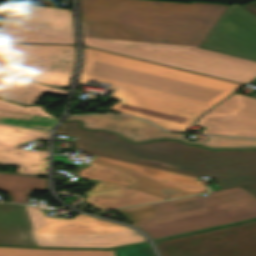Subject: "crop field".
<instances>
[{
  "mask_svg": "<svg viewBox=\"0 0 256 256\" xmlns=\"http://www.w3.org/2000/svg\"><path fill=\"white\" fill-rule=\"evenodd\" d=\"M228 6L80 0L84 45L246 84L256 61L199 46Z\"/></svg>",
  "mask_w": 256,
  "mask_h": 256,
  "instance_id": "crop-field-1",
  "label": "crop field"
},
{
  "mask_svg": "<svg viewBox=\"0 0 256 256\" xmlns=\"http://www.w3.org/2000/svg\"><path fill=\"white\" fill-rule=\"evenodd\" d=\"M113 84L120 101L109 109L186 131L207 109L244 85L84 47L78 84Z\"/></svg>",
  "mask_w": 256,
  "mask_h": 256,
  "instance_id": "crop-field-2",
  "label": "crop field"
},
{
  "mask_svg": "<svg viewBox=\"0 0 256 256\" xmlns=\"http://www.w3.org/2000/svg\"><path fill=\"white\" fill-rule=\"evenodd\" d=\"M79 125L64 122L56 132L75 137V150L196 177L211 174L222 189L256 183V151H211L168 140L132 144Z\"/></svg>",
  "mask_w": 256,
  "mask_h": 256,
  "instance_id": "crop-field-3",
  "label": "crop field"
},
{
  "mask_svg": "<svg viewBox=\"0 0 256 256\" xmlns=\"http://www.w3.org/2000/svg\"><path fill=\"white\" fill-rule=\"evenodd\" d=\"M46 215L38 207L0 203V244L111 248L146 241L132 229L81 213L73 219Z\"/></svg>",
  "mask_w": 256,
  "mask_h": 256,
  "instance_id": "crop-field-4",
  "label": "crop field"
},
{
  "mask_svg": "<svg viewBox=\"0 0 256 256\" xmlns=\"http://www.w3.org/2000/svg\"><path fill=\"white\" fill-rule=\"evenodd\" d=\"M153 240L256 218V197L241 187L116 210Z\"/></svg>",
  "mask_w": 256,
  "mask_h": 256,
  "instance_id": "crop-field-5",
  "label": "crop field"
},
{
  "mask_svg": "<svg viewBox=\"0 0 256 256\" xmlns=\"http://www.w3.org/2000/svg\"><path fill=\"white\" fill-rule=\"evenodd\" d=\"M66 156L54 161L79 166L74 176L101 180L167 199L208 192L199 178L106 159L93 155L90 162L71 163Z\"/></svg>",
  "mask_w": 256,
  "mask_h": 256,
  "instance_id": "crop-field-6",
  "label": "crop field"
},
{
  "mask_svg": "<svg viewBox=\"0 0 256 256\" xmlns=\"http://www.w3.org/2000/svg\"><path fill=\"white\" fill-rule=\"evenodd\" d=\"M0 41L75 44L72 10L10 3L0 23Z\"/></svg>",
  "mask_w": 256,
  "mask_h": 256,
  "instance_id": "crop-field-7",
  "label": "crop field"
},
{
  "mask_svg": "<svg viewBox=\"0 0 256 256\" xmlns=\"http://www.w3.org/2000/svg\"><path fill=\"white\" fill-rule=\"evenodd\" d=\"M75 59V46L0 43V70L48 85H70Z\"/></svg>",
  "mask_w": 256,
  "mask_h": 256,
  "instance_id": "crop-field-8",
  "label": "crop field"
},
{
  "mask_svg": "<svg viewBox=\"0 0 256 256\" xmlns=\"http://www.w3.org/2000/svg\"><path fill=\"white\" fill-rule=\"evenodd\" d=\"M156 244L162 256H256V222Z\"/></svg>",
  "mask_w": 256,
  "mask_h": 256,
  "instance_id": "crop-field-9",
  "label": "crop field"
},
{
  "mask_svg": "<svg viewBox=\"0 0 256 256\" xmlns=\"http://www.w3.org/2000/svg\"><path fill=\"white\" fill-rule=\"evenodd\" d=\"M200 47L256 60V16L230 5Z\"/></svg>",
  "mask_w": 256,
  "mask_h": 256,
  "instance_id": "crop-field-10",
  "label": "crop field"
},
{
  "mask_svg": "<svg viewBox=\"0 0 256 256\" xmlns=\"http://www.w3.org/2000/svg\"><path fill=\"white\" fill-rule=\"evenodd\" d=\"M196 125L201 133L256 138V99L234 94L204 114Z\"/></svg>",
  "mask_w": 256,
  "mask_h": 256,
  "instance_id": "crop-field-11",
  "label": "crop field"
},
{
  "mask_svg": "<svg viewBox=\"0 0 256 256\" xmlns=\"http://www.w3.org/2000/svg\"><path fill=\"white\" fill-rule=\"evenodd\" d=\"M49 132L0 124V164L20 166L17 172L46 176L47 151L18 148L27 140L48 139Z\"/></svg>",
  "mask_w": 256,
  "mask_h": 256,
  "instance_id": "crop-field-12",
  "label": "crop field"
},
{
  "mask_svg": "<svg viewBox=\"0 0 256 256\" xmlns=\"http://www.w3.org/2000/svg\"><path fill=\"white\" fill-rule=\"evenodd\" d=\"M85 195H89V197L85 196L86 202L101 211L166 200L151 194L101 181Z\"/></svg>",
  "mask_w": 256,
  "mask_h": 256,
  "instance_id": "crop-field-13",
  "label": "crop field"
},
{
  "mask_svg": "<svg viewBox=\"0 0 256 256\" xmlns=\"http://www.w3.org/2000/svg\"><path fill=\"white\" fill-rule=\"evenodd\" d=\"M131 141H144L158 138H179L184 139L185 134L166 133L147 121L136 119L123 133ZM185 140V139H184ZM187 141V140H186ZM189 142V141H188ZM202 143L211 148H238V147H256L255 139H239L211 136L208 142Z\"/></svg>",
  "mask_w": 256,
  "mask_h": 256,
  "instance_id": "crop-field-14",
  "label": "crop field"
},
{
  "mask_svg": "<svg viewBox=\"0 0 256 256\" xmlns=\"http://www.w3.org/2000/svg\"><path fill=\"white\" fill-rule=\"evenodd\" d=\"M44 93L67 97L68 92L0 72V98L34 104Z\"/></svg>",
  "mask_w": 256,
  "mask_h": 256,
  "instance_id": "crop-field-15",
  "label": "crop field"
},
{
  "mask_svg": "<svg viewBox=\"0 0 256 256\" xmlns=\"http://www.w3.org/2000/svg\"><path fill=\"white\" fill-rule=\"evenodd\" d=\"M57 118L47 114L41 106H26L0 100V122L51 130Z\"/></svg>",
  "mask_w": 256,
  "mask_h": 256,
  "instance_id": "crop-field-16",
  "label": "crop field"
},
{
  "mask_svg": "<svg viewBox=\"0 0 256 256\" xmlns=\"http://www.w3.org/2000/svg\"><path fill=\"white\" fill-rule=\"evenodd\" d=\"M46 182L47 179L0 173V189L9 193L12 201L23 204L30 189L47 191Z\"/></svg>",
  "mask_w": 256,
  "mask_h": 256,
  "instance_id": "crop-field-17",
  "label": "crop field"
},
{
  "mask_svg": "<svg viewBox=\"0 0 256 256\" xmlns=\"http://www.w3.org/2000/svg\"><path fill=\"white\" fill-rule=\"evenodd\" d=\"M0 256H115L107 250H46L0 247Z\"/></svg>",
  "mask_w": 256,
  "mask_h": 256,
  "instance_id": "crop-field-18",
  "label": "crop field"
},
{
  "mask_svg": "<svg viewBox=\"0 0 256 256\" xmlns=\"http://www.w3.org/2000/svg\"><path fill=\"white\" fill-rule=\"evenodd\" d=\"M66 119H80L83 121L84 127L91 129L103 128L120 134L135 120V118L121 114L71 116Z\"/></svg>",
  "mask_w": 256,
  "mask_h": 256,
  "instance_id": "crop-field-19",
  "label": "crop field"
},
{
  "mask_svg": "<svg viewBox=\"0 0 256 256\" xmlns=\"http://www.w3.org/2000/svg\"><path fill=\"white\" fill-rule=\"evenodd\" d=\"M242 6L256 15V1L242 5Z\"/></svg>",
  "mask_w": 256,
  "mask_h": 256,
  "instance_id": "crop-field-20",
  "label": "crop field"
},
{
  "mask_svg": "<svg viewBox=\"0 0 256 256\" xmlns=\"http://www.w3.org/2000/svg\"><path fill=\"white\" fill-rule=\"evenodd\" d=\"M241 187H243L244 189H246L247 191L256 196V184L245 185Z\"/></svg>",
  "mask_w": 256,
  "mask_h": 256,
  "instance_id": "crop-field-21",
  "label": "crop field"
}]
</instances>
